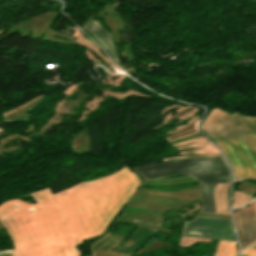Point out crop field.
Listing matches in <instances>:
<instances>
[{
    "instance_id": "crop-field-1",
    "label": "crop field",
    "mask_w": 256,
    "mask_h": 256,
    "mask_svg": "<svg viewBox=\"0 0 256 256\" xmlns=\"http://www.w3.org/2000/svg\"><path fill=\"white\" fill-rule=\"evenodd\" d=\"M140 179L128 168L52 195L31 192L37 204L17 199L0 205L15 250L12 256H80L76 246L100 236L122 210Z\"/></svg>"
},
{
    "instance_id": "crop-field-2",
    "label": "crop field",
    "mask_w": 256,
    "mask_h": 256,
    "mask_svg": "<svg viewBox=\"0 0 256 256\" xmlns=\"http://www.w3.org/2000/svg\"><path fill=\"white\" fill-rule=\"evenodd\" d=\"M201 130L221 147L233 168L234 183L256 178V117L212 109Z\"/></svg>"
},
{
    "instance_id": "crop-field-3",
    "label": "crop field",
    "mask_w": 256,
    "mask_h": 256,
    "mask_svg": "<svg viewBox=\"0 0 256 256\" xmlns=\"http://www.w3.org/2000/svg\"><path fill=\"white\" fill-rule=\"evenodd\" d=\"M144 179L189 175L200 182L201 211L216 213L212 191L217 182H230V170L223 156L191 158L159 165L133 168Z\"/></svg>"
},
{
    "instance_id": "crop-field-4",
    "label": "crop field",
    "mask_w": 256,
    "mask_h": 256,
    "mask_svg": "<svg viewBox=\"0 0 256 256\" xmlns=\"http://www.w3.org/2000/svg\"><path fill=\"white\" fill-rule=\"evenodd\" d=\"M241 249L256 238V213L254 204L243 207L233 213Z\"/></svg>"
},
{
    "instance_id": "crop-field-5",
    "label": "crop field",
    "mask_w": 256,
    "mask_h": 256,
    "mask_svg": "<svg viewBox=\"0 0 256 256\" xmlns=\"http://www.w3.org/2000/svg\"><path fill=\"white\" fill-rule=\"evenodd\" d=\"M184 229L234 234L230 220L201 216L186 222Z\"/></svg>"
},
{
    "instance_id": "crop-field-6",
    "label": "crop field",
    "mask_w": 256,
    "mask_h": 256,
    "mask_svg": "<svg viewBox=\"0 0 256 256\" xmlns=\"http://www.w3.org/2000/svg\"><path fill=\"white\" fill-rule=\"evenodd\" d=\"M83 28L104 46L115 62L119 61L117 59V52L114 43L109 33L97 21L92 19V21Z\"/></svg>"
},
{
    "instance_id": "crop-field-7",
    "label": "crop field",
    "mask_w": 256,
    "mask_h": 256,
    "mask_svg": "<svg viewBox=\"0 0 256 256\" xmlns=\"http://www.w3.org/2000/svg\"><path fill=\"white\" fill-rule=\"evenodd\" d=\"M235 253V242L220 241L214 256H234Z\"/></svg>"
},
{
    "instance_id": "crop-field-8",
    "label": "crop field",
    "mask_w": 256,
    "mask_h": 256,
    "mask_svg": "<svg viewBox=\"0 0 256 256\" xmlns=\"http://www.w3.org/2000/svg\"><path fill=\"white\" fill-rule=\"evenodd\" d=\"M183 235L235 240L234 235L184 230Z\"/></svg>"
},
{
    "instance_id": "crop-field-9",
    "label": "crop field",
    "mask_w": 256,
    "mask_h": 256,
    "mask_svg": "<svg viewBox=\"0 0 256 256\" xmlns=\"http://www.w3.org/2000/svg\"><path fill=\"white\" fill-rule=\"evenodd\" d=\"M215 155H221V153L208 154V155L177 156V157L165 158V159H163V161L173 160V159H181V158H188V157L215 156Z\"/></svg>"
},
{
    "instance_id": "crop-field-10",
    "label": "crop field",
    "mask_w": 256,
    "mask_h": 256,
    "mask_svg": "<svg viewBox=\"0 0 256 256\" xmlns=\"http://www.w3.org/2000/svg\"><path fill=\"white\" fill-rule=\"evenodd\" d=\"M241 252H243L244 254H246L247 256H256V251L254 249H252L251 247H246L244 250H242Z\"/></svg>"
},
{
    "instance_id": "crop-field-11",
    "label": "crop field",
    "mask_w": 256,
    "mask_h": 256,
    "mask_svg": "<svg viewBox=\"0 0 256 256\" xmlns=\"http://www.w3.org/2000/svg\"><path fill=\"white\" fill-rule=\"evenodd\" d=\"M0 256H10V253L8 250L0 252Z\"/></svg>"
},
{
    "instance_id": "crop-field-12",
    "label": "crop field",
    "mask_w": 256,
    "mask_h": 256,
    "mask_svg": "<svg viewBox=\"0 0 256 256\" xmlns=\"http://www.w3.org/2000/svg\"><path fill=\"white\" fill-rule=\"evenodd\" d=\"M249 246H251L252 248H254L256 250V240L252 244H250Z\"/></svg>"
},
{
    "instance_id": "crop-field-13",
    "label": "crop field",
    "mask_w": 256,
    "mask_h": 256,
    "mask_svg": "<svg viewBox=\"0 0 256 256\" xmlns=\"http://www.w3.org/2000/svg\"><path fill=\"white\" fill-rule=\"evenodd\" d=\"M239 256H246V255H244L243 253H240V255Z\"/></svg>"
},
{
    "instance_id": "crop-field-14",
    "label": "crop field",
    "mask_w": 256,
    "mask_h": 256,
    "mask_svg": "<svg viewBox=\"0 0 256 256\" xmlns=\"http://www.w3.org/2000/svg\"><path fill=\"white\" fill-rule=\"evenodd\" d=\"M254 204H255V209H256V200L254 201Z\"/></svg>"
},
{
    "instance_id": "crop-field-15",
    "label": "crop field",
    "mask_w": 256,
    "mask_h": 256,
    "mask_svg": "<svg viewBox=\"0 0 256 256\" xmlns=\"http://www.w3.org/2000/svg\"><path fill=\"white\" fill-rule=\"evenodd\" d=\"M2 130L0 129V132H1Z\"/></svg>"
}]
</instances>
